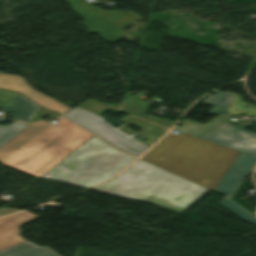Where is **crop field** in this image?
Masks as SVG:
<instances>
[{
	"label": "crop field",
	"instance_id": "8a807250",
	"mask_svg": "<svg viewBox=\"0 0 256 256\" xmlns=\"http://www.w3.org/2000/svg\"><path fill=\"white\" fill-rule=\"evenodd\" d=\"M90 137L65 119L30 124L0 147V162L40 178Z\"/></svg>",
	"mask_w": 256,
	"mask_h": 256
},
{
	"label": "crop field",
	"instance_id": "ac0d7876",
	"mask_svg": "<svg viewBox=\"0 0 256 256\" xmlns=\"http://www.w3.org/2000/svg\"><path fill=\"white\" fill-rule=\"evenodd\" d=\"M238 154L184 133H169L141 160L213 191Z\"/></svg>",
	"mask_w": 256,
	"mask_h": 256
},
{
	"label": "crop field",
	"instance_id": "34b2d1b8",
	"mask_svg": "<svg viewBox=\"0 0 256 256\" xmlns=\"http://www.w3.org/2000/svg\"><path fill=\"white\" fill-rule=\"evenodd\" d=\"M202 187L139 160L117 178L92 190L182 213L209 192Z\"/></svg>",
	"mask_w": 256,
	"mask_h": 256
},
{
	"label": "crop field",
	"instance_id": "412701ff",
	"mask_svg": "<svg viewBox=\"0 0 256 256\" xmlns=\"http://www.w3.org/2000/svg\"><path fill=\"white\" fill-rule=\"evenodd\" d=\"M133 160L135 158L93 136L41 178L88 189L110 178Z\"/></svg>",
	"mask_w": 256,
	"mask_h": 256
},
{
	"label": "crop field",
	"instance_id": "f4fd0767",
	"mask_svg": "<svg viewBox=\"0 0 256 256\" xmlns=\"http://www.w3.org/2000/svg\"><path fill=\"white\" fill-rule=\"evenodd\" d=\"M65 1L71 5V10L84 20L80 24L86 27V33L94 31L102 40L108 42L127 36L121 32V28L140 20L130 12L103 11L81 0ZM126 16L129 18L125 19Z\"/></svg>",
	"mask_w": 256,
	"mask_h": 256
},
{
	"label": "crop field",
	"instance_id": "dd49c442",
	"mask_svg": "<svg viewBox=\"0 0 256 256\" xmlns=\"http://www.w3.org/2000/svg\"><path fill=\"white\" fill-rule=\"evenodd\" d=\"M64 116L128 153L139 156L149 148L135 141L130 136L116 129L115 127L105 123L102 117L94 115L78 107L74 108Z\"/></svg>",
	"mask_w": 256,
	"mask_h": 256
},
{
	"label": "crop field",
	"instance_id": "e52e79f7",
	"mask_svg": "<svg viewBox=\"0 0 256 256\" xmlns=\"http://www.w3.org/2000/svg\"><path fill=\"white\" fill-rule=\"evenodd\" d=\"M250 136L251 138H247ZM202 139L224 145L242 152H256V133L248 132L227 122Z\"/></svg>",
	"mask_w": 256,
	"mask_h": 256
},
{
	"label": "crop field",
	"instance_id": "d8731c3e",
	"mask_svg": "<svg viewBox=\"0 0 256 256\" xmlns=\"http://www.w3.org/2000/svg\"><path fill=\"white\" fill-rule=\"evenodd\" d=\"M0 88L18 91L40 106L62 114L70 107L33 89L21 76L0 74Z\"/></svg>",
	"mask_w": 256,
	"mask_h": 256
},
{
	"label": "crop field",
	"instance_id": "5a996713",
	"mask_svg": "<svg viewBox=\"0 0 256 256\" xmlns=\"http://www.w3.org/2000/svg\"><path fill=\"white\" fill-rule=\"evenodd\" d=\"M255 162L256 154H245L240 152L219 184L214 189V192L231 198Z\"/></svg>",
	"mask_w": 256,
	"mask_h": 256
},
{
	"label": "crop field",
	"instance_id": "3316defc",
	"mask_svg": "<svg viewBox=\"0 0 256 256\" xmlns=\"http://www.w3.org/2000/svg\"><path fill=\"white\" fill-rule=\"evenodd\" d=\"M27 211L0 219V250L6 249L26 240L22 239L19 227L37 218Z\"/></svg>",
	"mask_w": 256,
	"mask_h": 256
},
{
	"label": "crop field",
	"instance_id": "28ad6ade",
	"mask_svg": "<svg viewBox=\"0 0 256 256\" xmlns=\"http://www.w3.org/2000/svg\"><path fill=\"white\" fill-rule=\"evenodd\" d=\"M39 107L18 93L1 108L16 113L13 117L14 120L29 122Z\"/></svg>",
	"mask_w": 256,
	"mask_h": 256
},
{
	"label": "crop field",
	"instance_id": "d1516ede",
	"mask_svg": "<svg viewBox=\"0 0 256 256\" xmlns=\"http://www.w3.org/2000/svg\"><path fill=\"white\" fill-rule=\"evenodd\" d=\"M148 104L139 100H133L129 93L126 94L121 112L145 119L147 121L170 128L175 122L146 116Z\"/></svg>",
	"mask_w": 256,
	"mask_h": 256
},
{
	"label": "crop field",
	"instance_id": "22f410ed",
	"mask_svg": "<svg viewBox=\"0 0 256 256\" xmlns=\"http://www.w3.org/2000/svg\"><path fill=\"white\" fill-rule=\"evenodd\" d=\"M0 256H59L52 250L40 247L30 241L0 251Z\"/></svg>",
	"mask_w": 256,
	"mask_h": 256
},
{
	"label": "crop field",
	"instance_id": "cbeb9de0",
	"mask_svg": "<svg viewBox=\"0 0 256 256\" xmlns=\"http://www.w3.org/2000/svg\"><path fill=\"white\" fill-rule=\"evenodd\" d=\"M227 117L219 116L212 121L206 123L205 125L190 121V120H183V127L175 126L174 130L176 131H182L184 133L190 134L195 137H202L206 133L210 132L220 124L224 123L226 121Z\"/></svg>",
	"mask_w": 256,
	"mask_h": 256
},
{
	"label": "crop field",
	"instance_id": "5142ce71",
	"mask_svg": "<svg viewBox=\"0 0 256 256\" xmlns=\"http://www.w3.org/2000/svg\"><path fill=\"white\" fill-rule=\"evenodd\" d=\"M234 93H223L216 91L214 95H209L201 103L213 106L209 113L227 115V107L233 97Z\"/></svg>",
	"mask_w": 256,
	"mask_h": 256
},
{
	"label": "crop field",
	"instance_id": "d9b57169",
	"mask_svg": "<svg viewBox=\"0 0 256 256\" xmlns=\"http://www.w3.org/2000/svg\"><path fill=\"white\" fill-rule=\"evenodd\" d=\"M221 205L226 208L228 211H230L231 213H233L234 215H236L237 217H239L240 219L251 223L253 225L256 226V217L253 216L251 213H249L248 211H246L244 208H242L241 206H239L237 203H235L233 200L229 199V198H225L224 200H222Z\"/></svg>",
	"mask_w": 256,
	"mask_h": 256
},
{
	"label": "crop field",
	"instance_id": "733c2abd",
	"mask_svg": "<svg viewBox=\"0 0 256 256\" xmlns=\"http://www.w3.org/2000/svg\"><path fill=\"white\" fill-rule=\"evenodd\" d=\"M234 98V97H233ZM228 113L235 116L239 113L256 117V106L242 102V98L236 94L231 105L228 108Z\"/></svg>",
	"mask_w": 256,
	"mask_h": 256
},
{
	"label": "crop field",
	"instance_id": "4a817a6b",
	"mask_svg": "<svg viewBox=\"0 0 256 256\" xmlns=\"http://www.w3.org/2000/svg\"><path fill=\"white\" fill-rule=\"evenodd\" d=\"M78 107L83 108V109H85L87 111H90L92 113H95L99 116H101L108 109L116 110V111H118V109H119V107H117V106L100 103V102L95 101L93 99L86 100L85 102L78 105Z\"/></svg>",
	"mask_w": 256,
	"mask_h": 256
},
{
	"label": "crop field",
	"instance_id": "bc2a9ffb",
	"mask_svg": "<svg viewBox=\"0 0 256 256\" xmlns=\"http://www.w3.org/2000/svg\"><path fill=\"white\" fill-rule=\"evenodd\" d=\"M27 124L13 122L9 126H0V146L22 130Z\"/></svg>",
	"mask_w": 256,
	"mask_h": 256
},
{
	"label": "crop field",
	"instance_id": "214f88e0",
	"mask_svg": "<svg viewBox=\"0 0 256 256\" xmlns=\"http://www.w3.org/2000/svg\"><path fill=\"white\" fill-rule=\"evenodd\" d=\"M45 114L52 116V118L60 116L56 112L47 111L44 108L40 107L39 110L35 113V115L30 120V122L42 120L41 118Z\"/></svg>",
	"mask_w": 256,
	"mask_h": 256
},
{
	"label": "crop field",
	"instance_id": "92a150f3",
	"mask_svg": "<svg viewBox=\"0 0 256 256\" xmlns=\"http://www.w3.org/2000/svg\"><path fill=\"white\" fill-rule=\"evenodd\" d=\"M16 94V92L0 90V106L10 100Z\"/></svg>",
	"mask_w": 256,
	"mask_h": 256
},
{
	"label": "crop field",
	"instance_id": "dafd665d",
	"mask_svg": "<svg viewBox=\"0 0 256 256\" xmlns=\"http://www.w3.org/2000/svg\"><path fill=\"white\" fill-rule=\"evenodd\" d=\"M15 211H19V210H15L13 208L0 209V216L4 215V214L11 213V212H15Z\"/></svg>",
	"mask_w": 256,
	"mask_h": 256
}]
</instances>
